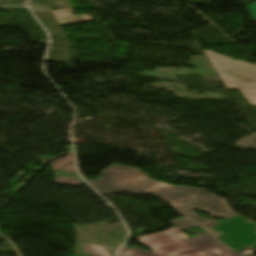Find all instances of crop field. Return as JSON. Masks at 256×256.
I'll return each instance as SVG.
<instances>
[{
    "mask_svg": "<svg viewBox=\"0 0 256 256\" xmlns=\"http://www.w3.org/2000/svg\"><path fill=\"white\" fill-rule=\"evenodd\" d=\"M85 253L91 254L92 256H109V254L100 246L90 242L82 244Z\"/></svg>",
    "mask_w": 256,
    "mask_h": 256,
    "instance_id": "crop-field-7",
    "label": "crop field"
},
{
    "mask_svg": "<svg viewBox=\"0 0 256 256\" xmlns=\"http://www.w3.org/2000/svg\"><path fill=\"white\" fill-rule=\"evenodd\" d=\"M203 256H241L236 251L232 250L228 246L224 245L206 255Z\"/></svg>",
    "mask_w": 256,
    "mask_h": 256,
    "instance_id": "crop-field-8",
    "label": "crop field"
},
{
    "mask_svg": "<svg viewBox=\"0 0 256 256\" xmlns=\"http://www.w3.org/2000/svg\"><path fill=\"white\" fill-rule=\"evenodd\" d=\"M60 25L92 20L89 14L75 16L72 9H59L53 11Z\"/></svg>",
    "mask_w": 256,
    "mask_h": 256,
    "instance_id": "crop-field-6",
    "label": "crop field"
},
{
    "mask_svg": "<svg viewBox=\"0 0 256 256\" xmlns=\"http://www.w3.org/2000/svg\"><path fill=\"white\" fill-rule=\"evenodd\" d=\"M204 52L228 89L256 87L255 64L236 61L208 50Z\"/></svg>",
    "mask_w": 256,
    "mask_h": 256,
    "instance_id": "crop-field-2",
    "label": "crop field"
},
{
    "mask_svg": "<svg viewBox=\"0 0 256 256\" xmlns=\"http://www.w3.org/2000/svg\"><path fill=\"white\" fill-rule=\"evenodd\" d=\"M250 104L256 105V89L240 90Z\"/></svg>",
    "mask_w": 256,
    "mask_h": 256,
    "instance_id": "crop-field-9",
    "label": "crop field"
},
{
    "mask_svg": "<svg viewBox=\"0 0 256 256\" xmlns=\"http://www.w3.org/2000/svg\"><path fill=\"white\" fill-rule=\"evenodd\" d=\"M210 228L219 233L218 240L239 253L244 247L256 248V223L240 215Z\"/></svg>",
    "mask_w": 256,
    "mask_h": 256,
    "instance_id": "crop-field-3",
    "label": "crop field"
},
{
    "mask_svg": "<svg viewBox=\"0 0 256 256\" xmlns=\"http://www.w3.org/2000/svg\"><path fill=\"white\" fill-rule=\"evenodd\" d=\"M171 224H173L175 227H177L178 229L182 230L188 227H192L195 226L194 224H192L191 222L185 220L184 218L180 217L172 222H170Z\"/></svg>",
    "mask_w": 256,
    "mask_h": 256,
    "instance_id": "crop-field-10",
    "label": "crop field"
},
{
    "mask_svg": "<svg viewBox=\"0 0 256 256\" xmlns=\"http://www.w3.org/2000/svg\"><path fill=\"white\" fill-rule=\"evenodd\" d=\"M185 241L193 245L195 249L170 255V256H201L203 254H206L224 245L222 242L218 241L217 239H215L209 234L190 238V239H185ZM154 252L145 251L137 247H129L124 245L120 249L118 256H160Z\"/></svg>",
    "mask_w": 256,
    "mask_h": 256,
    "instance_id": "crop-field-5",
    "label": "crop field"
},
{
    "mask_svg": "<svg viewBox=\"0 0 256 256\" xmlns=\"http://www.w3.org/2000/svg\"><path fill=\"white\" fill-rule=\"evenodd\" d=\"M102 178L87 180L97 191L112 194L116 191H127L132 194H156L169 202L186 219L200 228H207L217 221L214 217L231 218L236 215L225 199H221L203 189L196 187H181L154 181L135 168L112 164L102 173ZM199 209L209 213L210 219H203L193 212Z\"/></svg>",
    "mask_w": 256,
    "mask_h": 256,
    "instance_id": "crop-field-1",
    "label": "crop field"
},
{
    "mask_svg": "<svg viewBox=\"0 0 256 256\" xmlns=\"http://www.w3.org/2000/svg\"><path fill=\"white\" fill-rule=\"evenodd\" d=\"M246 8L248 9L250 14L252 15L253 19L256 20V3L246 5Z\"/></svg>",
    "mask_w": 256,
    "mask_h": 256,
    "instance_id": "crop-field-11",
    "label": "crop field"
},
{
    "mask_svg": "<svg viewBox=\"0 0 256 256\" xmlns=\"http://www.w3.org/2000/svg\"><path fill=\"white\" fill-rule=\"evenodd\" d=\"M189 238L186 234L173 227L154 235H148L138 239L156 253L166 256L181 251L193 249L194 247L183 239Z\"/></svg>",
    "mask_w": 256,
    "mask_h": 256,
    "instance_id": "crop-field-4",
    "label": "crop field"
}]
</instances>
